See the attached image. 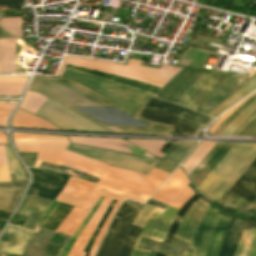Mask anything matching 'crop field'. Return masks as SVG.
<instances>
[{
    "label": "crop field",
    "mask_w": 256,
    "mask_h": 256,
    "mask_svg": "<svg viewBox=\"0 0 256 256\" xmlns=\"http://www.w3.org/2000/svg\"><path fill=\"white\" fill-rule=\"evenodd\" d=\"M14 142L20 152H37L40 143L65 149L67 137L14 133Z\"/></svg>",
    "instance_id": "5142ce71"
},
{
    "label": "crop field",
    "mask_w": 256,
    "mask_h": 256,
    "mask_svg": "<svg viewBox=\"0 0 256 256\" xmlns=\"http://www.w3.org/2000/svg\"><path fill=\"white\" fill-rule=\"evenodd\" d=\"M139 210L126 202L123 203L98 250L97 256H130L133 244L141 230L140 227L132 225Z\"/></svg>",
    "instance_id": "e52e79f7"
},
{
    "label": "crop field",
    "mask_w": 256,
    "mask_h": 256,
    "mask_svg": "<svg viewBox=\"0 0 256 256\" xmlns=\"http://www.w3.org/2000/svg\"><path fill=\"white\" fill-rule=\"evenodd\" d=\"M230 217L209 205L191 243L192 255L216 256L225 227Z\"/></svg>",
    "instance_id": "d8731c3e"
},
{
    "label": "crop field",
    "mask_w": 256,
    "mask_h": 256,
    "mask_svg": "<svg viewBox=\"0 0 256 256\" xmlns=\"http://www.w3.org/2000/svg\"><path fill=\"white\" fill-rule=\"evenodd\" d=\"M7 143V137L5 134L0 133V144Z\"/></svg>",
    "instance_id": "0fb4a251"
},
{
    "label": "crop field",
    "mask_w": 256,
    "mask_h": 256,
    "mask_svg": "<svg viewBox=\"0 0 256 256\" xmlns=\"http://www.w3.org/2000/svg\"><path fill=\"white\" fill-rule=\"evenodd\" d=\"M115 203H116V201H115V200H112V202H111L109 208L107 209V211H106L105 215L103 216L101 222L99 223V225H98V227H97L95 233L93 234V236H92V238L90 239V241H89V243H88L86 249L84 250V252H86V255H85V256H88V255H89L88 252H89V250H90L92 244L94 243L95 239L97 238V236H98V234H99V232H100V230H101V228H102V226H103L105 220L107 219V217H108V215H109V213H110V211H111V209H112V207L114 206Z\"/></svg>",
    "instance_id": "e1f06a70"
},
{
    "label": "crop field",
    "mask_w": 256,
    "mask_h": 256,
    "mask_svg": "<svg viewBox=\"0 0 256 256\" xmlns=\"http://www.w3.org/2000/svg\"><path fill=\"white\" fill-rule=\"evenodd\" d=\"M28 77L0 76V82H26Z\"/></svg>",
    "instance_id": "425ffa30"
},
{
    "label": "crop field",
    "mask_w": 256,
    "mask_h": 256,
    "mask_svg": "<svg viewBox=\"0 0 256 256\" xmlns=\"http://www.w3.org/2000/svg\"><path fill=\"white\" fill-rule=\"evenodd\" d=\"M198 197H197V195L195 194L182 208H181V210H180V212L178 213V215H177V217H176V219H175V221H174V223H173V225H172V227H171V229H170V231H169V233H168V235H167V237H166V239H165V243H171V241H172V239H173V236H174V234H175V231H176V228H177V226H178V224H179V220L181 219H179V220H177V218H178V216H181L182 217V215L184 214V212L187 210V208L191 205V203L195 200V199H197ZM160 246H161V243L159 244V246H158V249H157V252H156V255L155 256H166L165 254H161V253H158V251H159V248H160Z\"/></svg>",
    "instance_id": "120bbe31"
},
{
    "label": "crop field",
    "mask_w": 256,
    "mask_h": 256,
    "mask_svg": "<svg viewBox=\"0 0 256 256\" xmlns=\"http://www.w3.org/2000/svg\"><path fill=\"white\" fill-rule=\"evenodd\" d=\"M5 224H6V221L0 220V231Z\"/></svg>",
    "instance_id": "9d1cf04e"
},
{
    "label": "crop field",
    "mask_w": 256,
    "mask_h": 256,
    "mask_svg": "<svg viewBox=\"0 0 256 256\" xmlns=\"http://www.w3.org/2000/svg\"><path fill=\"white\" fill-rule=\"evenodd\" d=\"M12 127L58 130L48 122L34 115H31L19 108L17 109L14 119L12 121Z\"/></svg>",
    "instance_id": "214f88e0"
},
{
    "label": "crop field",
    "mask_w": 256,
    "mask_h": 256,
    "mask_svg": "<svg viewBox=\"0 0 256 256\" xmlns=\"http://www.w3.org/2000/svg\"><path fill=\"white\" fill-rule=\"evenodd\" d=\"M177 166L164 162V161H160L158 163V165L156 166V168L162 169L164 171L170 172L172 173V171L176 168Z\"/></svg>",
    "instance_id": "73cf0c24"
},
{
    "label": "crop field",
    "mask_w": 256,
    "mask_h": 256,
    "mask_svg": "<svg viewBox=\"0 0 256 256\" xmlns=\"http://www.w3.org/2000/svg\"><path fill=\"white\" fill-rule=\"evenodd\" d=\"M238 135L256 136V118H254Z\"/></svg>",
    "instance_id": "03da06ac"
},
{
    "label": "crop field",
    "mask_w": 256,
    "mask_h": 256,
    "mask_svg": "<svg viewBox=\"0 0 256 256\" xmlns=\"http://www.w3.org/2000/svg\"><path fill=\"white\" fill-rule=\"evenodd\" d=\"M67 150L76 152L106 165L124 168L144 174H147L159 161V159H147L124 155L75 144H69Z\"/></svg>",
    "instance_id": "5a996713"
},
{
    "label": "crop field",
    "mask_w": 256,
    "mask_h": 256,
    "mask_svg": "<svg viewBox=\"0 0 256 256\" xmlns=\"http://www.w3.org/2000/svg\"><path fill=\"white\" fill-rule=\"evenodd\" d=\"M71 142H76L88 146L104 148L109 150L121 151L123 152L127 143L122 139H98V138H78L69 137Z\"/></svg>",
    "instance_id": "00972430"
},
{
    "label": "crop field",
    "mask_w": 256,
    "mask_h": 256,
    "mask_svg": "<svg viewBox=\"0 0 256 256\" xmlns=\"http://www.w3.org/2000/svg\"><path fill=\"white\" fill-rule=\"evenodd\" d=\"M51 202V200L26 195L15 214L28 216L23 226L33 229L35 223Z\"/></svg>",
    "instance_id": "bc2a9ffb"
},
{
    "label": "crop field",
    "mask_w": 256,
    "mask_h": 256,
    "mask_svg": "<svg viewBox=\"0 0 256 256\" xmlns=\"http://www.w3.org/2000/svg\"><path fill=\"white\" fill-rule=\"evenodd\" d=\"M25 0H0V6H23Z\"/></svg>",
    "instance_id": "25e5ab78"
},
{
    "label": "crop field",
    "mask_w": 256,
    "mask_h": 256,
    "mask_svg": "<svg viewBox=\"0 0 256 256\" xmlns=\"http://www.w3.org/2000/svg\"><path fill=\"white\" fill-rule=\"evenodd\" d=\"M254 90H256V77L252 79L250 82H248L236 93H234L227 100H225L223 103H221L218 107L212 110L208 115H211L217 118L224 110L231 107L232 105H234L235 103H237L238 101H240L241 99L249 95Z\"/></svg>",
    "instance_id": "a9b5d70f"
},
{
    "label": "crop field",
    "mask_w": 256,
    "mask_h": 256,
    "mask_svg": "<svg viewBox=\"0 0 256 256\" xmlns=\"http://www.w3.org/2000/svg\"><path fill=\"white\" fill-rule=\"evenodd\" d=\"M93 185V182L70 177L67 185L62 190L60 195L55 199V201L88 210L95 201L94 198L87 197Z\"/></svg>",
    "instance_id": "22f410ed"
},
{
    "label": "crop field",
    "mask_w": 256,
    "mask_h": 256,
    "mask_svg": "<svg viewBox=\"0 0 256 256\" xmlns=\"http://www.w3.org/2000/svg\"><path fill=\"white\" fill-rule=\"evenodd\" d=\"M256 93V92H255ZM253 93V94H255ZM252 94V95H253ZM251 95V96H252ZM251 96H249L248 98H246L245 100H243L241 103H239L238 105H236L235 107H233L232 109H230L220 120H218L213 126L212 128L209 130L210 132H213L232 112H234L240 105H242L247 99H249Z\"/></svg>",
    "instance_id": "b54c1fbb"
},
{
    "label": "crop field",
    "mask_w": 256,
    "mask_h": 256,
    "mask_svg": "<svg viewBox=\"0 0 256 256\" xmlns=\"http://www.w3.org/2000/svg\"><path fill=\"white\" fill-rule=\"evenodd\" d=\"M32 183L26 194L54 200L69 179L68 176L44 169L29 168Z\"/></svg>",
    "instance_id": "d1516ede"
},
{
    "label": "crop field",
    "mask_w": 256,
    "mask_h": 256,
    "mask_svg": "<svg viewBox=\"0 0 256 256\" xmlns=\"http://www.w3.org/2000/svg\"><path fill=\"white\" fill-rule=\"evenodd\" d=\"M208 205V203H205L200 198L196 200L182 217L174 239L190 244ZM186 254L187 252H183L182 256H186Z\"/></svg>",
    "instance_id": "cbeb9de0"
},
{
    "label": "crop field",
    "mask_w": 256,
    "mask_h": 256,
    "mask_svg": "<svg viewBox=\"0 0 256 256\" xmlns=\"http://www.w3.org/2000/svg\"><path fill=\"white\" fill-rule=\"evenodd\" d=\"M72 208L73 206L59 203V205L56 207L53 213L44 222L42 227L55 231L58 228V226L63 222L64 218L67 216V214L71 211Z\"/></svg>",
    "instance_id": "4177f3b9"
},
{
    "label": "crop field",
    "mask_w": 256,
    "mask_h": 256,
    "mask_svg": "<svg viewBox=\"0 0 256 256\" xmlns=\"http://www.w3.org/2000/svg\"><path fill=\"white\" fill-rule=\"evenodd\" d=\"M131 143L139 146L140 148L146 150L147 152L162 158L163 154L160 153L166 145V141H155V140H134L126 139Z\"/></svg>",
    "instance_id": "d3111659"
},
{
    "label": "crop field",
    "mask_w": 256,
    "mask_h": 256,
    "mask_svg": "<svg viewBox=\"0 0 256 256\" xmlns=\"http://www.w3.org/2000/svg\"><path fill=\"white\" fill-rule=\"evenodd\" d=\"M255 158L256 145L234 144L197 188L218 202Z\"/></svg>",
    "instance_id": "f4fd0767"
},
{
    "label": "crop field",
    "mask_w": 256,
    "mask_h": 256,
    "mask_svg": "<svg viewBox=\"0 0 256 256\" xmlns=\"http://www.w3.org/2000/svg\"><path fill=\"white\" fill-rule=\"evenodd\" d=\"M256 99V94L253 95L248 101H246L242 106H240L233 114H231L213 133L214 135H219L243 110H245L254 100Z\"/></svg>",
    "instance_id": "028f5c9d"
},
{
    "label": "crop field",
    "mask_w": 256,
    "mask_h": 256,
    "mask_svg": "<svg viewBox=\"0 0 256 256\" xmlns=\"http://www.w3.org/2000/svg\"><path fill=\"white\" fill-rule=\"evenodd\" d=\"M214 144L215 143L201 142L200 145L193 151V153L182 164V166L188 172V174L205 156V154L212 148Z\"/></svg>",
    "instance_id": "eef30255"
},
{
    "label": "crop field",
    "mask_w": 256,
    "mask_h": 256,
    "mask_svg": "<svg viewBox=\"0 0 256 256\" xmlns=\"http://www.w3.org/2000/svg\"><path fill=\"white\" fill-rule=\"evenodd\" d=\"M0 16H4V12L0 11Z\"/></svg>",
    "instance_id": "db79e9e6"
},
{
    "label": "crop field",
    "mask_w": 256,
    "mask_h": 256,
    "mask_svg": "<svg viewBox=\"0 0 256 256\" xmlns=\"http://www.w3.org/2000/svg\"><path fill=\"white\" fill-rule=\"evenodd\" d=\"M153 207L143 205L139 215L137 216L134 225L143 227L144 223L146 222L147 218L149 217Z\"/></svg>",
    "instance_id": "b80d0937"
},
{
    "label": "crop field",
    "mask_w": 256,
    "mask_h": 256,
    "mask_svg": "<svg viewBox=\"0 0 256 256\" xmlns=\"http://www.w3.org/2000/svg\"><path fill=\"white\" fill-rule=\"evenodd\" d=\"M102 199H103V197H101V199L98 201V203L93 207V209L90 211L87 218L83 221V223L78 227V229L74 232V234L72 235L70 240L67 242L64 249H62V248L60 249L58 256H66L67 255L72 244L74 243V241L76 240V238L78 237V235L80 234V232L82 231V229L84 228V226L86 225V223L88 222V220L90 219V217L92 216V214L94 213V211L96 210L97 206L99 205V203L101 202Z\"/></svg>",
    "instance_id": "d32e631a"
},
{
    "label": "crop field",
    "mask_w": 256,
    "mask_h": 256,
    "mask_svg": "<svg viewBox=\"0 0 256 256\" xmlns=\"http://www.w3.org/2000/svg\"><path fill=\"white\" fill-rule=\"evenodd\" d=\"M236 218L231 219L226 227L225 234L217 256H233L242 230L231 229Z\"/></svg>",
    "instance_id": "dafd665d"
},
{
    "label": "crop field",
    "mask_w": 256,
    "mask_h": 256,
    "mask_svg": "<svg viewBox=\"0 0 256 256\" xmlns=\"http://www.w3.org/2000/svg\"><path fill=\"white\" fill-rule=\"evenodd\" d=\"M232 145L233 144L216 143L214 147L207 153V155L200 161V163L193 169L189 176L196 187L224 156V154L231 148Z\"/></svg>",
    "instance_id": "d9b57169"
},
{
    "label": "crop field",
    "mask_w": 256,
    "mask_h": 256,
    "mask_svg": "<svg viewBox=\"0 0 256 256\" xmlns=\"http://www.w3.org/2000/svg\"><path fill=\"white\" fill-rule=\"evenodd\" d=\"M185 157H186V155H182V154L175 153V152L168 150L167 154L163 157V159H165L169 162L179 164Z\"/></svg>",
    "instance_id": "c21b1889"
},
{
    "label": "crop field",
    "mask_w": 256,
    "mask_h": 256,
    "mask_svg": "<svg viewBox=\"0 0 256 256\" xmlns=\"http://www.w3.org/2000/svg\"><path fill=\"white\" fill-rule=\"evenodd\" d=\"M211 72H206L203 77L188 91L186 92L181 99L177 102V104L181 105L186 98L196 89V87L210 74Z\"/></svg>",
    "instance_id": "d23c7cc5"
},
{
    "label": "crop field",
    "mask_w": 256,
    "mask_h": 256,
    "mask_svg": "<svg viewBox=\"0 0 256 256\" xmlns=\"http://www.w3.org/2000/svg\"><path fill=\"white\" fill-rule=\"evenodd\" d=\"M46 99L47 98L43 97L38 93L29 91L27 92L23 102L21 103L20 108L34 114Z\"/></svg>",
    "instance_id": "750c4746"
},
{
    "label": "crop field",
    "mask_w": 256,
    "mask_h": 256,
    "mask_svg": "<svg viewBox=\"0 0 256 256\" xmlns=\"http://www.w3.org/2000/svg\"><path fill=\"white\" fill-rule=\"evenodd\" d=\"M229 75L211 73L182 105L195 110Z\"/></svg>",
    "instance_id": "4a817a6b"
},
{
    "label": "crop field",
    "mask_w": 256,
    "mask_h": 256,
    "mask_svg": "<svg viewBox=\"0 0 256 256\" xmlns=\"http://www.w3.org/2000/svg\"><path fill=\"white\" fill-rule=\"evenodd\" d=\"M35 115L50 121L62 130L108 133L102 128L49 99L42 105Z\"/></svg>",
    "instance_id": "3316defc"
},
{
    "label": "crop field",
    "mask_w": 256,
    "mask_h": 256,
    "mask_svg": "<svg viewBox=\"0 0 256 256\" xmlns=\"http://www.w3.org/2000/svg\"><path fill=\"white\" fill-rule=\"evenodd\" d=\"M58 202L53 201L49 209L45 212V214L40 218L38 221V224L42 225L43 222L48 218V216L51 214V212L54 210V208L57 206Z\"/></svg>",
    "instance_id": "89e229c0"
},
{
    "label": "crop field",
    "mask_w": 256,
    "mask_h": 256,
    "mask_svg": "<svg viewBox=\"0 0 256 256\" xmlns=\"http://www.w3.org/2000/svg\"><path fill=\"white\" fill-rule=\"evenodd\" d=\"M252 205L256 206V199L250 204L248 208H251Z\"/></svg>",
    "instance_id": "0765c3eb"
},
{
    "label": "crop field",
    "mask_w": 256,
    "mask_h": 256,
    "mask_svg": "<svg viewBox=\"0 0 256 256\" xmlns=\"http://www.w3.org/2000/svg\"><path fill=\"white\" fill-rule=\"evenodd\" d=\"M33 232L8 225L0 239V251L21 255Z\"/></svg>",
    "instance_id": "733c2abd"
},
{
    "label": "crop field",
    "mask_w": 256,
    "mask_h": 256,
    "mask_svg": "<svg viewBox=\"0 0 256 256\" xmlns=\"http://www.w3.org/2000/svg\"><path fill=\"white\" fill-rule=\"evenodd\" d=\"M141 61L130 60L127 66L109 64L84 58L64 56L57 75L62 76L65 65L70 64L99 72L110 73L139 82L153 85L162 89L181 69L171 66H161L160 71L139 67ZM106 96L125 112L134 117L154 94L118 83L105 78L94 76L78 70L66 68L64 75Z\"/></svg>",
    "instance_id": "ac0d7876"
},
{
    "label": "crop field",
    "mask_w": 256,
    "mask_h": 256,
    "mask_svg": "<svg viewBox=\"0 0 256 256\" xmlns=\"http://www.w3.org/2000/svg\"><path fill=\"white\" fill-rule=\"evenodd\" d=\"M251 256H256V243H255V246H254V249H253V252H252Z\"/></svg>",
    "instance_id": "447ae74e"
},
{
    "label": "crop field",
    "mask_w": 256,
    "mask_h": 256,
    "mask_svg": "<svg viewBox=\"0 0 256 256\" xmlns=\"http://www.w3.org/2000/svg\"><path fill=\"white\" fill-rule=\"evenodd\" d=\"M15 185L16 183H0V209L13 212L24 191Z\"/></svg>",
    "instance_id": "92a150f3"
},
{
    "label": "crop field",
    "mask_w": 256,
    "mask_h": 256,
    "mask_svg": "<svg viewBox=\"0 0 256 256\" xmlns=\"http://www.w3.org/2000/svg\"><path fill=\"white\" fill-rule=\"evenodd\" d=\"M256 197V159L221 198L235 208H247Z\"/></svg>",
    "instance_id": "28ad6ade"
},
{
    "label": "crop field",
    "mask_w": 256,
    "mask_h": 256,
    "mask_svg": "<svg viewBox=\"0 0 256 256\" xmlns=\"http://www.w3.org/2000/svg\"><path fill=\"white\" fill-rule=\"evenodd\" d=\"M256 240V230H243L234 256H250Z\"/></svg>",
    "instance_id": "730fd06b"
},
{
    "label": "crop field",
    "mask_w": 256,
    "mask_h": 256,
    "mask_svg": "<svg viewBox=\"0 0 256 256\" xmlns=\"http://www.w3.org/2000/svg\"><path fill=\"white\" fill-rule=\"evenodd\" d=\"M28 88L34 89L46 95L50 99L69 109H71L70 107L73 106H115L111 101L68 79H54L51 77L35 75ZM85 117L103 126L104 128L108 129L113 133L164 135L166 133H171L174 131V128L160 124H152L149 128L108 127L87 116Z\"/></svg>",
    "instance_id": "34b2d1b8"
},
{
    "label": "crop field",
    "mask_w": 256,
    "mask_h": 256,
    "mask_svg": "<svg viewBox=\"0 0 256 256\" xmlns=\"http://www.w3.org/2000/svg\"><path fill=\"white\" fill-rule=\"evenodd\" d=\"M197 142H182L171 146L170 150L188 155Z\"/></svg>",
    "instance_id": "0bd39190"
},
{
    "label": "crop field",
    "mask_w": 256,
    "mask_h": 256,
    "mask_svg": "<svg viewBox=\"0 0 256 256\" xmlns=\"http://www.w3.org/2000/svg\"><path fill=\"white\" fill-rule=\"evenodd\" d=\"M69 67H71V66H69ZM72 68L82 70V71H85V72H88V73H92V74H95V75H98V76H101V77H105V78H108V79H111V80H115V81H118V82H121V83H125V84L131 85V86H135V87H138V88H141V89H145V90H148V91H151V92L157 93L159 91V89L152 88V87H149V86H146V85H143V84L131 81V80L122 79V78H118V77H113V76H109V75H105V74H101V73H97V72H92V71H88V70H84V69H80V68H76V67H72Z\"/></svg>",
    "instance_id": "5866460e"
},
{
    "label": "crop field",
    "mask_w": 256,
    "mask_h": 256,
    "mask_svg": "<svg viewBox=\"0 0 256 256\" xmlns=\"http://www.w3.org/2000/svg\"><path fill=\"white\" fill-rule=\"evenodd\" d=\"M255 116L256 111L252 113L231 135H237Z\"/></svg>",
    "instance_id": "1f2cbd36"
},
{
    "label": "crop field",
    "mask_w": 256,
    "mask_h": 256,
    "mask_svg": "<svg viewBox=\"0 0 256 256\" xmlns=\"http://www.w3.org/2000/svg\"><path fill=\"white\" fill-rule=\"evenodd\" d=\"M14 107H0V116L7 115L12 112ZM9 116L0 117V126H6Z\"/></svg>",
    "instance_id": "5d738f31"
},
{
    "label": "crop field",
    "mask_w": 256,
    "mask_h": 256,
    "mask_svg": "<svg viewBox=\"0 0 256 256\" xmlns=\"http://www.w3.org/2000/svg\"><path fill=\"white\" fill-rule=\"evenodd\" d=\"M137 118L180 128V135L191 136L199 128L208 125L212 118L196 113L182 106L150 97Z\"/></svg>",
    "instance_id": "dd49c442"
},
{
    "label": "crop field",
    "mask_w": 256,
    "mask_h": 256,
    "mask_svg": "<svg viewBox=\"0 0 256 256\" xmlns=\"http://www.w3.org/2000/svg\"><path fill=\"white\" fill-rule=\"evenodd\" d=\"M25 83H0V86H24Z\"/></svg>",
    "instance_id": "dbb93151"
},
{
    "label": "crop field",
    "mask_w": 256,
    "mask_h": 256,
    "mask_svg": "<svg viewBox=\"0 0 256 256\" xmlns=\"http://www.w3.org/2000/svg\"><path fill=\"white\" fill-rule=\"evenodd\" d=\"M189 179L178 168L173 175L164 183L152 199L168 206L180 209L182 205L194 195V191L187 186ZM166 206L164 210L154 208L148 221L141 230L132 251L131 256H149V250L137 248L142 237L154 241L163 242L178 209Z\"/></svg>",
    "instance_id": "412701ff"
},
{
    "label": "crop field",
    "mask_w": 256,
    "mask_h": 256,
    "mask_svg": "<svg viewBox=\"0 0 256 256\" xmlns=\"http://www.w3.org/2000/svg\"><path fill=\"white\" fill-rule=\"evenodd\" d=\"M10 36L21 37V18H2ZM0 19V37H10L8 31Z\"/></svg>",
    "instance_id": "ae1a2a85"
},
{
    "label": "crop field",
    "mask_w": 256,
    "mask_h": 256,
    "mask_svg": "<svg viewBox=\"0 0 256 256\" xmlns=\"http://www.w3.org/2000/svg\"><path fill=\"white\" fill-rule=\"evenodd\" d=\"M41 161L53 165H65L69 168L97 177L100 180L95 183L89 196L96 198L98 195H102L105 196V198L102 200L70 250L79 253L84 250L112 199L123 201L124 198H129L145 202L157 191L169 176V174L155 169H152L147 175H142L128 170L106 166L76 153L43 144L40 145L34 167H39ZM100 197L101 196L97 197L92 207ZM120 201H117L91 248L89 256H94L115 211L122 203ZM89 211L75 207L56 232H62L71 236ZM84 254L85 253L78 254L69 252L67 256H84Z\"/></svg>",
    "instance_id": "8a807250"
},
{
    "label": "crop field",
    "mask_w": 256,
    "mask_h": 256,
    "mask_svg": "<svg viewBox=\"0 0 256 256\" xmlns=\"http://www.w3.org/2000/svg\"><path fill=\"white\" fill-rule=\"evenodd\" d=\"M255 110L256 100L245 111H243L220 135H230Z\"/></svg>",
    "instance_id": "1d83c4d3"
},
{
    "label": "crop field",
    "mask_w": 256,
    "mask_h": 256,
    "mask_svg": "<svg viewBox=\"0 0 256 256\" xmlns=\"http://www.w3.org/2000/svg\"><path fill=\"white\" fill-rule=\"evenodd\" d=\"M24 87H0V96H21Z\"/></svg>",
    "instance_id": "c035e120"
},
{
    "label": "crop field",
    "mask_w": 256,
    "mask_h": 256,
    "mask_svg": "<svg viewBox=\"0 0 256 256\" xmlns=\"http://www.w3.org/2000/svg\"><path fill=\"white\" fill-rule=\"evenodd\" d=\"M6 147V153H7V159H8V165H9V171L10 173H15V176L17 180L24 179L25 175L22 171V168L15 157L12 149L9 145H5Z\"/></svg>",
    "instance_id": "bd1437ed"
},
{
    "label": "crop field",
    "mask_w": 256,
    "mask_h": 256,
    "mask_svg": "<svg viewBox=\"0 0 256 256\" xmlns=\"http://www.w3.org/2000/svg\"><path fill=\"white\" fill-rule=\"evenodd\" d=\"M18 101H13V104H5V101H0V106H16Z\"/></svg>",
    "instance_id": "1d79db26"
}]
</instances>
